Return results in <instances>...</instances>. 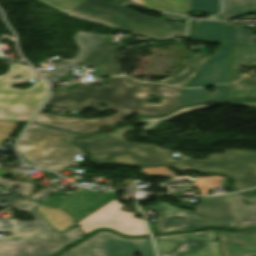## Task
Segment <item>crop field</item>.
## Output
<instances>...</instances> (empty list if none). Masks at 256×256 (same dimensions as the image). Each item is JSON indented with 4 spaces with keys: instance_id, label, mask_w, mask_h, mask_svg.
I'll return each instance as SVG.
<instances>
[{
    "instance_id": "obj_4",
    "label": "crop field",
    "mask_w": 256,
    "mask_h": 256,
    "mask_svg": "<svg viewBox=\"0 0 256 256\" xmlns=\"http://www.w3.org/2000/svg\"><path fill=\"white\" fill-rule=\"evenodd\" d=\"M78 134L31 124L17 145L20 154L31 165L61 171L65 166L76 167L74 155H84L83 150L71 145ZM72 136V137H69Z\"/></svg>"
},
{
    "instance_id": "obj_20",
    "label": "crop field",
    "mask_w": 256,
    "mask_h": 256,
    "mask_svg": "<svg viewBox=\"0 0 256 256\" xmlns=\"http://www.w3.org/2000/svg\"><path fill=\"white\" fill-rule=\"evenodd\" d=\"M214 88V94H209L203 89L184 90L180 97V106L199 102L222 101L228 99V85H215Z\"/></svg>"
},
{
    "instance_id": "obj_15",
    "label": "crop field",
    "mask_w": 256,
    "mask_h": 256,
    "mask_svg": "<svg viewBox=\"0 0 256 256\" xmlns=\"http://www.w3.org/2000/svg\"><path fill=\"white\" fill-rule=\"evenodd\" d=\"M217 232L223 256H256V229Z\"/></svg>"
},
{
    "instance_id": "obj_3",
    "label": "crop field",
    "mask_w": 256,
    "mask_h": 256,
    "mask_svg": "<svg viewBox=\"0 0 256 256\" xmlns=\"http://www.w3.org/2000/svg\"><path fill=\"white\" fill-rule=\"evenodd\" d=\"M131 129L134 128L125 126L107 134L78 138L76 144L88 149L92 161L97 164H166L180 170V161L170 157L172 150L161 149L158 145L126 141L123 134Z\"/></svg>"
},
{
    "instance_id": "obj_23",
    "label": "crop field",
    "mask_w": 256,
    "mask_h": 256,
    "mask_svg": "<svg viewBox=\"0 0 256 256\" xmlns=\"http://www.w3.org/2000/svg\"><path fill=\"white\" fill-rule=\"evenodd\" d=\"M231 199L233 200L234 211L237 221V226H250L256 225V206L252 207H243L237 206L236 198L248 199L256 203V197H244L239 194L231 195Z\"/></svg>"
},
{
    "instance_id": "obj_21",
    "label": "crop field",
    "mask_w": 256,
    "mask_h": 256,
    "mask_svg": "<svg viewBox=\"0 0 256 256\" xmlns=\"http://www.w3.org/2000/svg\"><path fill=\"white\" fill-rule=\"evenodd\" d=\"M189 37L223 44V24L218 21L196 20L195 33L189 32Z\"/></svg>"
},
{
    "instance_id": "obj_22",
    "label": "crop field",
    "mask_w": 256,
    "mask_h": 256,
    "mask_svg": "<svg viewBox=\"0 0 256 256\" xmlns=\"http://www.w3.org/2000/svg\"><path fill=\"white\" fill-rule=\"evenodd\" d=\"M255 8L256 0H223V11L219 16L226 20L255 13Z\"/></svg>"
},
{
    "instance_id": "obj_28",
    "label": "crop field",
    "mask_w": 256,
    "mask_h": 256,
    "mask_svg": "<svg viewBox=\"0 0 256 256\" xmlns=\"http://www.w3.org/2000/svg\"><path fill=\"white\" fill-rule=\"evenodd\" d=\"M190 10L217 13L220 11V3L219 0H191Z\"/></svg>"
},
{
    "instance_id": "obj_2",
    "label": "crop field",
    "mask_w": 256,
    "mask_h": 256,
    "mask_svg": "<svg viewBox=\"0 0 256 256\" xmlns=\"http://www.w3.org/2000/svg\"><path fill=\"white\" fill-rule=\"evenodd\" d=\"M38 204L27 200L14 208L33 215L34 222L0 219V232L13 234L0 238V256H49L84 236L76 226L56 232L33 209Z\"/></svg>"
},
{
    "instance_id": "obj_27",
    "label": "crop field",
    "mask_w": 256,
    "mask_h": 256,
    "mask_svg": "<svg viewBox=\"0 0 256 256\" xmlns=\"http://www.w3.org/2000/svg\"><path fill=\"white\" fill-rule=\"evenodd\" d=\"M14 185L19 186V188L17 190H12ZM0 187L8 189L13 193L27 197L32 194L35 185L23 182H12L10 180L0 178Z\"/></svg>"
},
{
    "instance_id": "obj_5",
    "label": "crop field",
    "mask_w": 256,
    "mask_h": 256,
    "mask_svg": "<svg viewBox=\"0 0 256 256\" xmlns=\"http://www.w3.org/2000/svg\"><path fill=\"white\" fill-rule=\"evenodd\" d=\"M73 11L104 20L114 27L150 38L164 39L184 36V26L182 25L146 17L104 0H85Z\"/></svg>"
},
{
    "instance_id": "obj_16",
    "label": "crop field",
    "mask_w": 256,
    "mask_h": 256,
    "mask_svg": "<svg viewBox=\"0 0 256 256\" xmlns=\"http://www.w3.org/2000/svg\"><path fill=\"white\" fill-rule=\"evenodd\" d=\"M104 37L106 35L79 32L75 38L81 50L75 59L64 60L58 63L53 69L42 74L50 79L52 83L60 82L70 71V68L79 64Z\"/></svg>"
},
{
    "instance_id": "obj_29",
    "label": "crop field",
    "mask_w": 256,
    "mask_h": 256,
    "mask_svg": "<svg viewBox=\"0 0 256 256\" xmlns=\"http://www.w3.org/2000/svg\"><path fill=\"white\" fill-rule=\"evenodd\" d=\"M45 2V4L61 11L68 12L75 8L78 4H80L84 0H41Z\"/></svg>"
},
{
    "instance_id": "obj_7",
    "label": "crop field",
    "mask_w": 256,
    "mask_h": 256,
    "mask_svg": "<svg viewBox=\"0 0 256 256\" xmlns=\"http://www.w3.org/2000/svg\"><path fill=\"white\" fill-rule=\"evenodd\" d=\"M184 168H194L197 173L222 172L234 178V187L244 189L256 186V152L225 150L207 160L184 159Z\"/></svg>"
},
{
    "instance_id": "obj_40",
    "label": "crop field",
    "mask_w": 256,
    "mask_h": 256,
    "mask_svg": "<svg viewBox=\"0 0 256 256\" xmlns=\"http://www.w3.org/2000/svg\"><path fill=\"white\" fill-rule=\"evenodd\" d=\"M0 195H11L10 193L0 189Z\"/></svg>"
},
{
    "instance_id": "obj_26",
    "label": "crop field",
    "mask_w": 256,
    "mask_h": 256,
    "mask_svg": "<svg viewBox=\"0 0 256 256\" xmlns=\"http://www.w3.org/2000/svg\"><path fill=\"white\" fill-rule=\"evenodd\" d=\"M203 108H207L206 104L205 105H197V106L184 108V109H179L163 118H146V119H138V120H139V122H149V125L143 128L144 130H147V129H151V128L157 126L158 124H160L166 120L184 115L186 113L192 112L197 109H203Z\"/></svg>"
},
{
    "instance_id": "obj_32",
    "label": "crop field",
    "mask_w": 256,
    "mask_h": 256,
    "mask_svg": "<svg viewBox=\"0 0 256 256\" xmlns=\"http://www.w3.org/2000/svg\"><path fill=\"white\" fill-rule=\"evenodd\" d=\"M149 209L154 210V211H158V212H164L166 214L184 213V210H182L180 208L172 207V206H170L168 204H165V203H163L161 201H158L157 203H155Z\"/></svg>"
},
{
    "instance_id": "obj_14",
    "label": "crop field",
    "mask_w": 256,
    "mask_h": 256,
    "mask_svg": "<svg viewBox=\"0 0 256 256\" xmlns=\"http://www.w3.org/2000/svg\"><path fill=\"white\" fill-rule=\"evenodd\" d=\"M229 45H221L186 87L229 83Z\"/></svg>"
},
{
    "instance_id": "obj_30",
    "label": "crop field",
    "mask_w": 256,
    "mask_h": 256,
    "mask_svg": "<svg viewBox=\"0 0 256 256\" xmlns=\"http://www.w3.org/2000/svg\"><path fill=\"white\" fill-rule=\"evenodd\" d=\"M137 3L144 5L146 7L159 10V11H164V12H169V13H174V14H180V15H185L187 16L189 12L185 11H176L167 5L161 3L158 0H135Z\"/></svg>"
},
{
    "instance_id": "obj_24",
    "label": "crop field",
    "mask_w": 256,
    "mask_h": 256,
    "mask_svg": "<svg viewBox=\"0 0 256 256\" xmlns=\"http://www.w3.org/2000/svg\"><path fill=\"white\" fill-rule=\"evenodd\" d=\"M158 220V233L190 229L184 214L165 215Z\"/></svg>"
},
{
    "instance_id": "obj_1",
    "label": "crop field",
    "mask_w": 256,
    "mask_h": 256,
    "mask_svg": "<svg viewBox=\"0 0 256 256\" xmlns=\"http://www.w3.org/2000/svg\"><path fill=\"white\" fill-rule=\"evenodd\" d=\"M109 78L110 87L78 85L74 91L56 89L45 105L75 110L93 107L100 112L112 109L118 114L105 119L86 120L39 112L34 123L88 134L97 133L101 126L117 124L126 114L161 115L178 107V99L182 90L180 88L140 82L126 77ZM127 80H131L134 83L129 85L126 83ZM135 92L159 94L163 96L165 104L162 106H147L146 99L134 97ZM100 101L106 102L109 107L99 106L97 103Z\"/></svg>"
},
{
    "instance_id": "obj_36",
    "label": "crop field",
    "mask_w": 256,
    "mask_h": 256,
    "mask_svg": "<svg viewBox=\"0 0 256 256\" xmlns=\"http://www.w3.org/2000/svg\"><path fill=\"white\" fill-rule=\"evenodd\" d=\"M19 200H21V199L17 198V197H13V196L0 197V207L6 208ZM3 201L6 203L2 204L1 202H3Z\"/></svg>"
},
{
    "instance_id": "obj_38",
    "label": "crop field",
    "mask_w": 256,
    "mask_h": 256,
    "mask_svg": "<svg viewBox=\"0 0 256 256\" xmlns=\"http://www.w3.org/2000/svg\"><path fill=\"white\" fill-rule=\"evenodd\" d=\"M229 104H233V105H240V106H249V107H256V101L255 102H244V101H232V102H228Z\"/></svg>"
},
{
    "instance_id": "obj_11",
    "label": "crop field",
    "mask_w": 256,
    "mask_h": 256,
    "mask_svg": "<svg viewBox=\"0 0 256 256\" xmlns=\"http://www.w3.org/2000/svg\"><path fill=\"white\" fill-rule=\"evenodd\" d=\"M185 215L192 229L207 226L237 228L229 196L203 198L202 205H196V213L186 211Z\"/></svg>"
},
{
    "instance_id": "obj_39",
    "label": "crop field",
    "mask_w": 256,
    "mask_h": 256,
    "mask_svg": "<svg viewBox=\"0 0 256 256\" xmlns=\"http://www.w3.org/2000/svg\"><path fill=\"white\" fill-rule=\"evenodd\" d=\"M70 15H74V16H77V17H80V18H83V19H88V20H92V21H96V22H100V23H104V24H107L109 25L108 23L104 22V21H100V20H97V19H93V18H90V17H87V16H83V15H80L78 13H75L73 11H71L70 13H68Z\"/></svg>"
},
{
    "instance_id": "obj_43",
    "label": "crop field",
    "mask_w": 256,
    "mask_h": 256,
    "mask_svg": "<svg viewBox=\"0 0 256 256\" xmlns=\"http://www.w3.org/2000/svg\"><path fill=\"white\" fill-rule=\"evenodd\" d=\"M237 201L239 202V201H241V199H237ZM238 205H241L240 203H238ZM244 206V205H243Z\"/></svg>"
},
{
    "instance_id": "obj_9",
    "label": "crop field",
    "mask_w": 256,
    "mask_h": 256,
    "mask_svg": "<svg viewBox=\"0 0 256 256\" xmlns=\"http://www.w3.org/2000/svg\"><path fill=\"white\" fill-rule=\"evenodd\" d=\"M159 256H221L217 232L208 229L196 232L153 237Z\"/></svg>"
},
{
    "instance_id": "obj_8",
    "label": "crop field",
    "mask_w": 256,
    "mask_h": 256,
    "mask_svg": "<svg viewBox=\"0 0 256 256\" xmlns=\"http://www.w3.org/2000/svg\"><path fill=\"white\" fill-rule=\"evenodd\" d=\"M155 256L152 241L126 239L108 231H99L58 256Z\"/></svg>"
},
{
    "instance_id": "obj_13",
    "label": "crop field",
    "mask_w": 256,
    "mask_h": 256,
    "mask_svg": "<svg viewBox=\"0 0 256 256\" xmlns=\"http://www.w3.org/2000/svg\"><path fill=\"white\" fill-rule=\"evenodd\" d=\"M117 192L99 194L83 188L67 195L65 198L52 196L46 199L45 204H49L72 212L77 221L89 215L111 199L115 198Z\"/></svg>"
},
{
    "instance_id": "obj_35",
    "label": "crop field",
    "mask_w": 256,
    "mask_h": 256,
    "mask_svg": "<svg viewBox=\"0 0 256 256\" xmlns=\"http://www.w3.org/2000/svg\"><path fill=\"white\" fill-rule=\"evenodd\" d=\"M169 5L177 8V9H184L189 10L190 0H162Z\"/></svg>"
},
{
    "instance_id": "obj_37",
    "label": "crop field",
    "mask_w": 256,
    "mask_h": 256,
    "mask_svg": "<svg viewBox=\"0 0 256 256\" xmlns=\"http://www.w3.org/2000/svg\"><path fill=\"white\" fill-rule=\"evenodd\" d=\"M55 190H57V189L51 188V189H49V190H47V191H45V192H43V193H41V194H39V195H37V196L31 198V199H34V200H37V201L42 202V201L45 200L47 197H49V196H48L49 193H51V192H53V191H55ZM51 194H52V193H51ZM49 195H50V194H49Z\"/></svg>"
},
{
    "instance_id": "obj_25",
    "label": "crop field",
    "mask_w": 256,
    "mask_h": 256,
    "mask_svg": "<svg viewBox=\"0 0 256 256\" xmlns=\"http://www.w3.org/2000/svg\"><path fill=\"white\" fill-rule=\"evenodd\" d=\"M252 30L225 24V44H250Z\"/></svg>"
},
{
    "instance_id": "obj_18",
    "label": "crop field",
    "mask_w": 256,
    "mask_h": 256,
    "mask_svg": "<svg viewBox=\"0 0 256 256\" xmlns=\"http://www.w3.org/2000/svg\"><path fill=\"white\" fill-rule=\"evenodd\" d=\"M210 56V54L198 53L191 58L185 59L183 60L185 68L182 71L164 81L157 82L185 87L186 84L195 76L198 70L206 63Z\"/></svg>"
},
{
    "instance_id": "obj_45",
    "label": "crop field",
    "mask_w": 256,
    "mask_h": 256,
    "mask_svg": "<svg viewBox=\"0 0 256 256\" xmlns=\"http://www.w3.org/2000/svg\"><path fill=\"white\" fill-rule=\"evenodd\" d=\"M212 16H213V15H210V14H209V18H211Z\"/></svg>"
},
{
    "instance_id": "obj_19",
    "label": "crop field",
    "mask_w": 256,
    "mask_h": 256,
    "mask_svg": "<svg viewBox=\"0 0 256 256\" xmlns=\"http://www.w3.org/2000/svg\"><path fill=\"white\" fill-rule=\"evenodd\" d=\"M38 214L56 231L64 232L75 226L74 218L67 211L46 205H38L34 208ZM42 214L47 215L43 217Z\"/></svg>"
},
{
    "instance_id": "obj_33",
    "label": "crop field",
    "mask_w": 256,
    "mask_h": 256,
    "mask_svg": "<svg viewBox=\"0 0 256 256\" xmlns=\"http://www.w3.org/2000/svg\"><path fill=\"white\" fill-rule=\"evenodd\" d=\"M16 124L17 122L0 121V144L10 136Z\"/></svg>"
},
{
    "instance_id": "obj_44",
    "label": "crop field",
    "mask_w": 256,
    "mask_h": 256,
    "mask_svg": "<svg viewBox=\"0 0 256 256\" xmlns=\"http://www.w3.org/2000/svg\"><path fill=\"white\" fill-rule=\"evenodd\" d=\"M214 19H220L218 16H216Z\"/></svg>"
},
{
    "instance_id": "obj_10",
    "label": "crop field",
    "mask_w": 256,
    "mask_h": 256,
    "mask_svg": "<svg viewBox=\"0 0 256 256\" xmlns=\"http://www.w3.org/2000/svg\"><path fill=\"white\" fill-rule=\"evenodd\" d=\"M123 206L115 198L79 221L77 225L86 235L98 228H108L127 236L146 235L143 220L133 218L137 213L120 211Z\"/></svg>"
},
{
    "instance_id": "obj_41",
    "label": "crop field",
    "mask_w": 256,
    "mask_h": 256,
    "mask_svg": "<svg viewBox=\"0 0 256 256\" xmlns=\"http://www.w3.org/2000/svg\"><path fill=\"white\" fill-rule=\"evenodd\" d=\"M251 44H256V36H252V39H251Z\"/></svg>"
},
{
    "instance_id": "obj_31",
    "label": "crop field",
    "mask_w": 256,
    "mask_h": 256,
    "mask_svg": "<svg viewBox=\"0 0 256 256\" xmlns=\"http://www.w3.org/2000/svg\"><path fill=\"white\" fill-rule=\"evenodd\" d=\"M195 187H200L202 189V195H207V188L220 187V176L195 178Z\"/></svg>"
},
{
    "instance_id": "obj_6",
    "label": "crop field",
    "mask_w": 256,
    "mask_h": 256,
    "mask_svg": "<svg viewBox=\"0 0 256 256\" xmlns=\"http://www.w3.org/2000/svg\"><path fill=\"white\" fill-rule=\"evenodd\" d=\"M19 79H10L15 75ZM29 77H38L33 69L26 65L10 64L9 71L0 76V119L28 121L48 91L47 84L37 79L31 88L18 90L11 84L25 82Z\"/></svg>"
},
{
    "instance_id": "obj_17",
    "label": "crop field",
    "mask_w": 256,
    "mask_h": 256,
    "mask_svg": "<svg viewBox=\"0 0 256 256\" xmlns=\"http://www.w3.org/2000/svg\"><path fill=\"white\" fill-rule=\"evenodd\" d=\"M120 47L100 42L82 62L100 64L103 76L120 75L115 66L116 50Z\"/></svg>"
},
{
    "instance_id": "obj_12",
    "label": "crop field",
    "mask_w": 256,
    "mask_h": 256,
    "mask_svg": "<svg viewBox=\"0 0 256 256\" xmlns=\"http://www.w3.org/2000/svg\"><path fill=\"white\" fill-rule=\"evenodd\" d=\"M239 65L256 66V45H232L231 82L238 79ZM255 97L256 76H249L231 85V99L252 100Z\"/></svg>"
},
{
    "instance_id": "obj_34",
    "label": "crop field",
    "mask_w": 256,
    "mask_h": 256,
    "mask_svg": "<svg viewBox=\"0 0 256 256\" xmlns=\"http://www.w3.org/2000/svg\"><path fill=\"white\" fill-rule=\"evenodd\" d=\"M143 173H149L158 176L174 177L175 173L168 171L166 167L142 168Z\"/></svg>"
},
{
    "instance_id": "obj_42",
    "label": "crop field",
    "mask_w": 256,
    "mask_h": 256,
    "mask_svg": "<svg viewBox=\"0 0 256 256\" xmlns=\"http://www.w3.org/2000/svg\"><path fill=\"white\" fill-rule=\"evenodd\" d=\"M141 93H135V96H137V97H141V96H139ZM147 94H152V93H147ZM164 103V102H163ZM160 105H162V104H160Z\"/></svg>"
}]
</instances>
